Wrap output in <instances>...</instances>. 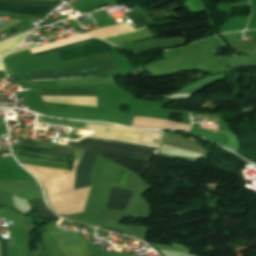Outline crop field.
I'll return each mask as SVG.
<instances>
[{"label": "crop field", "mask_w": 256, "mask_h": 256, "mask_svg": "<svg viewBox=\"0 0 256 256\" xmlns=\"http://www.w3.org/2000/svg\"><path fill=\"white\" fill-rule=\"evenodd\" d=\"M17 156L40 159L61 164H70L72 158L80 159L85 149L45 142L21 139V144L12 145ZM54 157V159H52Z\"/></svg>", "instance_id": "crop-field-3"}, {"label": "crop field", "mask_w": 256, "mask_h": 256, "mask_svg": "<svg viewBox=\"0 0 256 256\" xmlns=\"http://www.w3.org/2000/svg\"><path fill=\"white\" fill-rule=\"evenodd\" d=\"M59 249L63 256H91L84 242Z\"/></svg>", "instance_id": "crop-field-10"}, {"label": "crop field", "mask_w": 256, "mask_h": 256, "mask_svg": "<svg viewBox=\"0 0 256 256\" xmlns=\"http://www.w3.org/2000/svg\"><path fill=\"white\" fill-rule=\"evenodd\" d=\"M130 174L131 171L119 166L113 185L124 188Z\"/></svg>", "instance_id": "crop-field-12"}, {"label": "crop field", "mask_w": 256, "mask_h": 256, "mask_svg": "<svg viewBox=\"0 0 256 256\" xmlns=\"http://www.w3.org/2000/svg\"><path fill=\"white\" fill-rule=\"evenodd\" d=\"M133 195L134 192L113 186L106 208L125 210Z\"/></svg>", "instance_id": "crop-field-8"}, {"label": "crop field", "mask_w": 256, "mask_h": 256, "mask_svg": "<svg viewBox=\"0 0 256 256\" xmlns=\"http://www.w3.org/2000/svg\"><path fill=\"white\" fill-rule=\"evenodd\" d=\"M97 154L86 150L76 172L74 189L88 187L90 182V171L97 158Z\"/></svg>", "instance_id": "crop-field-5"}, {"label": "crop field", "mask_w": 256, "mask_h": 256, "mask_svg": "<svg viewBox=\"0 0 256 256\" xmlns=\"http://www.w3.org/2000/svg\"><path fill=\"white\" fill-rule=\"evenodd\" d=\"M4 3L19 4L25 6H45V7H58L62 4V1H49V0H0ZM0 3V11H10L20 14H30V15H47L55 8H45V7H25L12 4Z\"/></svg>", "instance_id": "crop-field-4"}, {"label": "crop field", "mask_w": 256, "mask_h": 256, "mask_svg": "<svg viewBox=\"0 0 256 256\" xmlns=\"http://www.w3.org/2000/svg\"><path fill=\"white\" fill-rule=\"evenodd\" d=\"M154 37H157V35L151 29L146 28L116 37L108 38L105 40L112 42L114 45L120 46Z\"/></svg>", "instance_id": "crop-field-7"}, {"label": "crop field", "mask_w": 256, "mask_h": 256, "mask_svg": "<svg viewBox=\"0 0 256 256\" xmlns=\"http://www.w3.org/2000/svg\"><path fill=\"white\" fill-rule=\"evenodd\" d=\"M90 37L86 36H81V35H76L73 37H69L57 42H53L41 47H37L34 49H31V53H38L42 52L45 50L53 49L56 47H60L63 45L71 44L74 42L82 41L85 39H89ZM99 41L97 38L85 40L82 42L74 43L71 45H67L64 47L56 48L53 50L45 51L42 53L34 54V58L43 56L49 53H53L59 50L91 43ZM112 51L109 44L99 41L63 51H59V55L62 60L64 59H70V58H76V57H81V56H87V55H93V54H98V53H104V52H110ZM113 53H104V54H98V55H93V56H87V57H81V58H76V59H70V60H64L62 61L64 67L67 66H73V65H78V64H84V63H89V62H95V61H101V60H106V59H112ZM116 63L114 59L112 60H106V61H101V62H95V63H90V64H84V65H78V66H73V67H67L65 68L66 70H58V71H69V70H75V69H81V68H87V67H94V66H100V65H107V64H113ZM117 65H107V66H100V67H94V68H87V69H81V70H75V71H69V72H52V71H47V72H52V73H46V72H40V73H46V74H32V79H42V78H58V77H69V76H80V75H88V74H95V73H101V72H108L112 70H116Z\"/></svg>", "instance_id": "crop-field-1"}, {"label": "crop field", "mask_w": 256, "mask_h": 256, "mask_svg": "<svg viewBox=\"0 0 256 256\" xmlns=\"http://www.w3.org/2000/svg\"><path fill=\"white\" fill-rule=\"evenodd\" d=\"M132 126L149 127V128H168V129H185L189 130L190 125L183 123H177L173 121L146 118V117H135Z\"/></svg>", "instance_id": "crop-field-6"}, {"label": "crop field", "mask_w": 256, "mask_h": 256, "mask_svg": "<svg viewBox=\"0 0 256 256\" xmlns=\"http://www.w3.org/2000/svg\"><path fill=\"white\" fill-rule=\"evenodd\" d=\"M31 207L43 218H54L56 215L52 214L50 210L45 206L43 199H31L28 200Z\"/></svg>", "instance_id": "crop-field-11"}, {"label": "crop field", "mask_w": 256, "mask_h": 256, "mask_svg": "<svg viewBox=\"0 0 256 256\" xmlns=\"http://www.w3.org/2000/svg\"><path fill=\"white\" fill-rule=\"evenodd\" d=\"M68 145L86 148L88 150H91L99 154H105V155H111V156H117V157H123V158H129V159H135V160H141V161H147V162L150 161L154 153V150H156L155 148H149V147H143V146H137V145H131V144L89 138V137H86L78 142L70 141ZM105 155H102V156L132 170L141 178L148 166L147 162H141V161H135V160L105 156Z\"/></svg>", "instance_id": "crop-field-2"}, {"label": "crop field", "mask_w": 256, "mask_h": 256, "mask_svg": "<svg viewBox=\"0 0 256 256\" xmlns=\"http://www.w3.org/2000/svg\"><path fill=\"white\" fill-rule=\"evenodd\" d=\"M41 95L96 96V87L41 90Z\"/></svg>", "instance_id": "crop-field-9"}, {"label": "crop field", "mask_w": 256, "mask_h": 256, "mask_svg": "<svg viewBox=\"0 0 256 256\" xmlns=\"http://www.w3.org/2000/svg\"><path fill=\"white\" fill-rule=\"evenodd\" d=\"M1 256H8V242L0 241Z\"/></svg>", "instance_id": "crop-field-13"}, {"label": "crop field", "mask_w": 256, "mask_h": 256, "mask_svg": "<svg viewBox=\"0 0 256 256\" xmlns=\"http://www.w3.org/2000/svg\"><path fill=\"white\" fill-rule=\"evenodd\" d=\"M80 137H81L80 135H72V134H69L67 138L77 140V139H79Z\"/></svg>", "instance_id": "crop-field-14"}]
</instances>
